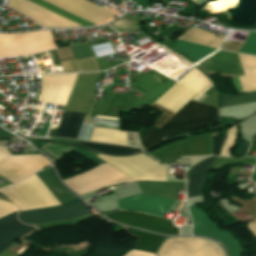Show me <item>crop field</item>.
Wrapping results in <instances>:
<instances>
[{
    "label": "crop field",
    "instance_id": "obj_1",
    "mask_svg": "<svg viewBox=\"0 0 256 256\" xmlns=\"http://www.w3.org/2000/svg\"><path fill=\"white\" fill-rule=\"evenodd\" d=\"M0 191L4 193L11 201H13L20 211L60 204L35 174L15 185L2 188ZM80 201L81 200L79 198H76L63 205ZM91 213L92 212L88 209L87 205L81 202L69 206L19 213L18 219L23 223L32 224L45 221L69 219Z\"/></svg>",
    "mask_w": 256,
    "mask_h": 256
},
{
    "label": "crop field",
    "instance_id": "obj_2",
    "mask_svg": "<svg viewBox=\"0 0 256 256\" xmlns=\"http://www.w3.org/2000/svg\"><path fill=\"white\" fill-rule=\"evenodd\" d=\"M216 107L190 101L160 129L151 126L137 130L145 149L171 137L217 122Z\"/></svg>",
    "mask_w": 256,
    "mask_h": 256
},
{
    "label": "crop field",
    "instance_id": "obj_3",
    "mask_svg": "<svg viewBox=\"0 0 256 256\" xmlns=\"http://www.w3.org/2000/svg\"><path fill=\"white\" fill-rule=\"evenodd\" d=\"M41 148H43L57 159L64 155L66 152L73 149L98 165L103 163L102 160L95 157L97 154L91 151L88 152L86 150H82L77 147L53 145L47 143ZM64 182L71 189L81 195L106 186L132 182V180L105 163L89 172L64 180Z\"/></svg>",
    "mask_w": 256,
    "mask_h": 256
},
{
    "label": "crop field",
    "instance_id": "obj_4",
    "mask_svg": "<svg viewBox=\"0 0 256 256\" xmlns=\"http://www.w3.org/2000/svg\"><path fill=\"white\" fill-rule=\"evenodd\" d=\"M57 48L50 31L0 34V57L27 55Z\"/></svg>",
    "mask_w": 256,
    "mask_h": 256
},
{
    "label": "crop field",
    "instance_id": "obj_5",
    "mask_svg": "<svg viewBox=\"0 0 256 256\" xmlns=\"http://www.w3.org/2000/svg\"><path fill=\"white\" fill-rule=\"evenodd\" d=\"M97 157L109 163L135 181H166L165 167L143 155L112 157L99 154Z\"/></svg>",
    "mask_w": 256,
    "mask_h": 256
},
{
    "label": "crop field",
    "instance_id": "obj_6",
    "mask_svg": "<svg viewBox=\"0 0 256 256\" xmlns=\"http://www.w3.org/2000/svg\"><path fill=\"white\" fill-rule=\"evenodd\" d=\"M50 165L41 155L11 156L0 147V175L15 183ZM9 181V182H10Z\"/></svg>",
    "mask_w": 256,
    "mask_h": 256
},
{
    "label": "crop field",
    "instance_id": "obj_7",
    "mask_svg": "<svg viewBox=\"0 0 256 256\" xmlns=\"http://www.w3.org/2000/svg\"><path fill=\"white\" fill-rule=\"evenodd\" d=\"M211 133L187 137L147 152L163 163H176V156L210 154Z\"/></svg>",
    "mask_w": 256,
    "mask_h": 256
},
{
    "label": "crop field",
    "instance_id": "obj_8",
    "mask_svg": "<svg viewBox=\"0 0 256 256\" xmlns=\"http://www.w3.org/2000/svg\"><path fill=\"white\" fill-rule=\"evenodd\" d=\"M157 256H225L220 246L207 239L169 238Z\"/></svg>",
    "mask_w": 256,
    "mask_h": 256
},
{
    "label": "crop field",
    "instance_id": "obj_9",
    "mask_svg": "<svg viewBox=\"0 0 256 256\" xmlns=\"http://www.w3.org/2000/svg\"><path fill=\"white\" fill-rule=\"evenodd\" d=\"M78 74L40 75L39 102L65 106Z\"/></svg>",
    "mask_w": 256,
    "mask_h": 256
},
{
    "label": "crop field",
    "instance_id": "obj_10",
    "mask_svg": "<svg viewBox=\"0 0 256 256\" xmlns=\"http://www.w3.org/2000/svg\"><path fill=\"white\" fill-rule=\"evenodd\" d=\"M190 213L194 221V234L214 237L223 242L230 256H240L241 248L237 240L229 233L219 229L202 211L189 206ZM221 242V243H222Z\"/></svg>",
    "mask_w": 256,
    "mask_h": 256
},
{
    "label": "crop field",
    "instance_id": "obj_11",
    "mask_svg": "<svg viewBox=\"0 0 256 256\" xmlns=\"http://www.w3.org/2000/svg\"><path fill=\"white\" fill-rule=\"evenodd\" d=\"M105 216L115 222L132 227L142 228L160 234L178 235V231L172 222L165 219L131 212H114Z\"/></svg>",
    "mask_w": 256,
    "mask_h": 256
},
{
    "label": "crop field",
    "instance_id": "obj_12",
    "mask_svg": "<svg viewBox=\"0 0 256 256\" xmlns=\"http://www.w3.org/2000/svg\"><path fill=\"white\" fill-rule=\"evenodd\" d=\"M13 204L0 200V216L16 209ZM17 209L0 217V253L18 238L34 228L20 224L16 218Z\"/></svg>",
    "mask_w": 256,
    "mask_h": 256
},
{
    "label": "crop field",
    "instance_id": "obj_13",
    "mask_svg": "<svg viewBox=\"0 0 256 256\" xmlns=\"http://www.w3.org/2000/svg\"><path fill=\"white\" fill-rule=\"evenodd\" d=\"M8 5L23 13L27 17L33 19L34 21L40 23L44 27H81L80 25L68 19H65L27 0H11Z\"/></svg>",
    "mask_w": 256,
    "mask_h": 256
},
{
    "label": "crop field",
    "instance_id": "obj_14",
    "mask_svg": "<svg viewBox=\"0 0 256 256\" xmlns=\"http://www.w3.org/2000/svg\"><path fill=\"white\" fill-rule=\"evenodd\" d=\"M92 24L115 14L103 10L85 0H43Z\"/></svg>",
    "mask_w": 256,
    "mask_h": 256
},
{
    "label": "crop field",
    "instance_id": "obj_15",
    "mask_svg": "<svg viewBox=\"0 0 256 256\" xmlns=\"http://www.w3.org/2000/svg\"><path fill=\"white\" fill-rule=\"evenodd\" d=\"M175 202V200L142 194L120 199L117 204L119 209L138 210L163 216Z\"/></svg>",
    "mask_w": 256,
    "mask_h": 256
},
{
    "label": "crop field",
    "instance_id": "obj_16",
    "mask_svg": "<svg viewBox=\"0 0 256 256\" xmlns=\"http://www.w3.org/2000/svg\"><path fill=\"white\" fill-rule=\"evenodd\" d=\"M162 79L174 84L173 81L169 80L168 78L162 76L161 74L157 73L154 70L149 71ZM146 73L144 76L136 79L137 83L144 89L149 90L141 99H139L135 104H133L128 109H139L141 108L145 103L150 104L153 102L156 98H158L165 90H167L172 84L160 79L159 77L151 74Z\"/></svg>",
    "mask_w": 256,
    "mask_h": 256
},
{
    "label": "crop field",
    "instance_id": "obj_17",
    "mask_svg": "<svg viewBox=\"0 0 256 256\" xmlns=\"http://www.w3.org/2000/svg\"><path fill=\"white\" fill-rule=\"evenodd\" d=\"M199 64L210 71L243 75L234 53L219 50Z\"/></svg>",
    "mask_w": 256,
    "mask_h": 256
},
{
    "label": "crop field",
    "instance_id": "obj_18",
    "mask_svg": "<svg viewBox=\"0 0 256 256\" xmlns=\"http://www.w3.org/2000/svg\"><path fill=\"white\" fill-rule=\"evenodd\" d=\"M36 174L61 204L75 197L66 187L61 184L54 172L53 167H49Z\"/></svg>",
    "mask_w": 256,
    "mask_h": 256
},
{
    "label": "crop field",
    "instance_id": "obj_19",
    "mask_svg": "<svg viewBox=\"0 0 256 256\" xmlns=\"http://www.w3.org/2000/svg\"><path fill=\"white\" fill-rule=\"evenodd\" d=\"M84 114L64 111L53 137L74 139Z\"/></svg>",
    "mask_w": 256,
    "mask_h": 256
},
{
    "label": "crop field",
    "instance_id": "obj_20",
    "mask_svg": "<svg viewBox=\"0 0 256 256\" xmlns=\"http://www.w3.org/2000/svg\"><path fill=\"white\" fill-rule=\"evenodd\" d=\"M238 55L245 74L239 77L243 92L256 91V57Z\"/></svg>",
    "mask_w": 256,
    "mask_h": 256
},
{
    "label": "crop field",
    "instance_id": "obj_21",
    "mask_svg": "<svg viewBox=\"0 0 256 256\" xmlns=\"http://www.w3.org/2000/svg\"><path fill=\"white\" fill-rule=\"evenodd\" d=\"M178 39L216 49H218L222 41V38L215 36V34L194 27H191L185 34H183Z\"/></svg>",
    "mask_w": 256,
    "mask_h": 256
},
{
    "label": "crop field",
    "instance_id": "obj_22",
    "mask_svg": "<svg viewBox=\"0 0 256 256\" xmlns=\"http://www.w3.org/2000/svg\"><path fill=\"white\" fill-rule=\"evenodd\" d=\"M214 157H209L192 168L191 178L188 185V197L201 195L200 187L202 181L210 168Z\"/></svg>",
    "mask_w": 256,
    "mask_h": 256
},
{
    "label": "crop field",
    "instance_id": "obj_23",
    "mask_svg": "<svg viewBox=\"0 0 256 256\" xmlns=\"http://www.w3.org/2000/svg\"><path fill=\"white\" fill-rule=\"evenodd\" d=\"M125 230L133 233L138 237L133 248L137 250L155 253L165 239L164 236L153 235L136 229L127 228Z\"/></svg>",
    "mask_w": 256,
    "mask_h": 256
},
{
    "label": "crop field",
    "instance_id": "obj_24",
    "mask_svg": "<svg viewBox=\"0 0 256 256\" xmlns=\"http://www.w3.org/2000/svg\"><path fill=\"white\" fill-rule=\"evenodd\" d=\"M90 141L127 145L125 132L94 127Z\"/></svg>",
    "mask_w": 256,
    "mask_h": 256
},
{
    "label": "crop field",
    "instance_id": "obj_25",
    "mask_svg": "<svg viewBox=\"0 0 256 256\" xmlns=\"http://www.w3.org/2000/svg\"><path fill=\"white\" fill-rule=\"evenodd\" d=\"M174 49L186 54L196 62L215 50L180 40H178Z\"/></svg>",
    "mask_w": 256,
    "mask_h": 256
},
{
    "label": "crop field",
    "instance_id": "obj_26",
    "mask_svg": "<svg viewBox=\"0 0 256 256\" xmlns=\"http://www.w3.org/2000/svg\"><path fill=\"white\" fill-rule=\"evenodd\" d=\"M179 82L198 92L210 83L197 69L194 68L189 71L183 78H181ZM211 86L212 84L209 87ZM208 88H206L199 96H197L195 100L200 97ZM205 97L206 96H204L202 99H204ZM202 99H200L199 101H201Z\"/></svg>",
    "mask_w": 256,
    "mask_h": 256
},
{
    "label": "crop field",
    "instance_id": "obj_27",
    "mask_svg": "<svg viewBox=\"0 0 256 256\" xmlns=\"http://www.w3.org/2000/svg\"><path fill=\"white\" fill-rule=\"evenodd\" d=\"M80 143L87 145L93 149H96L100 152H103L105 154H116V155H127V154H134L138 153L134 148H126V147H120V146H111V145H102V144H93V143H86L81 142Z\"/></svg>",
    "mask_w": 256,
    "mask_h": 256
},
{
    "label": "crop field",
    "instance_id": "obj_28",
    "mask_svg": "<svg viewBox=\"0 0 256 256\" xmlns=\"http://www.w3.org/2000/svg\"><path fill=\"white\" fill-rule=\"evenodd\" d=\"M220 95H221V107L256 102V92L247 93V94L236 96V97H232V96L221 94V93Z\"/></svg>",
    "mask_w": 256,
    "mask_h": 256
},
{
    "label": "crop field",
    "instance_id": "obj_29",
    "mask_svg": "<svg viewBox=\"0 0 256 256\" xmlns=\"http://www.w3.org/2000/svg\"><path fill=\"white\" fill-rule=\"evenodd\" d=\"M63 71L66 70H79L75 60L60 63ZM81 70H99L95 57L78 61Z\"/></svg>",
    "mask_w": 256,
    "mask_h": 256
},
{
    "label": "crop field",
    "instance_id": "obj_30",
    "mask_svg": "<svg viewBox=\"0 0 256 256\" xmlns=\"http://www.w3.org/2000/svg\"><path fill=\"white\" fill-rule=\"evenodd\" d=\"M29 1L34 2V3H36V4L40 5V6L48 9V10H51V11H53V12H55V13L63 16V17H65V18H68V19H70V20H72V21H74V22H76V23H78V24H80L82 26H92V24H90V23H88V22H86V21H84L82 19H79V18H77V17H75V16H73V15L67 13V12H64V11H62V10H60V9L50 5V4H47V3H45V2H43L41 0H29Z\"/></svg>",
    "mask_w": 256,
    "mask_h": 256
},
{
    "label": "crop field",
    "instance_id": "obj_31",
    "mask_svg": "<svg viewBox=\"0 0 256 256\" xmlns=\"http://www.w3.org/2000/svg\"><path fill=\"white\" fill-rule=\"evenodd\" d=\"M111 28L114 30L121 32L124 30L132 31V30H138L140 27L137 25V23L126 21L119 19L111 24H109Z\"/></svg>",
    "mask_w": 256,
    "mask_h": 256
},
{
    "label": "crop field",
    "instance_id": "obj_32",
    "mask_svg": "<svg viewBox=\"0 0 256 256\" xmlns=\"http://www.w3.org/2000/svg\"><path fill=\"white\" fill-rule=\"evenodd\" d=\"M240 52L256 55V32H250Z\"/></svg>",
    "mask_w": 256,
    "mask_h": 256
},
{
    "label": "crop field",
    "instance_id": "obj_33",
    "mask_svg": "<svg viewBox=\"0 0 256 256\" xmlns=\"http://www.w3.org/2000/svg\"><path fill=\"white\" fill-rule=\"evenodd\" d=\"M71 50L76 60L92 56L88 45L72 47Z\"/></svg>",
    "mask_w": 256,
    "mask_h": 256
},
{
    "label": "crop field",
    "instance_id": "obj_34",
    "mask_svg": "<svg viewBox=\"0 0 256 256\" xmlns=\"http://www.w3.org/2000/svg\"><path fill=\"white\" fill-rule=\"evenodd\" d=\"M223 136H224V133L213 134L212 155L217 154V152L220 148V144H221Z\"/></svg>",
    "mask_w": 256,
    "mask_h": 256
},
{
    "label": "crop field",
    "instance_id": "obj_35",
    "mask_svg": "<svg viewBox=\"0 0 256 256\" xmlns=\"http://www.w3.org/2000/svg\"><path fill=\"white\" fill-rule=\"evenodd\" d=\"M93 122L111 124L112 120L91 118L83 138L87 139Z\"/></svg>",
    "mask_w": 256,
    "mask_h": 256
},
{
    "label": "crop field",
    "instance_id": "obj_36",
    "mask_svg": "<svg viewBox=\"0 0 256 256\" xmlns=\"http://www.w3.org/2000/svg\"><path fill=\"white\" fill-rule=\"evenodd\" d=\"M250 142H242L238 149L237 154L245 156ZM252 143V142H251ZM250 143V145H251ZM250 147V146H249ZM249 150V149H248Z\"/></svg>",
    "mask_w": 256,
    "mask_h": 256
},
{
    "label": "crop field",
    "instance_id": "obj_37",
    "mask_svg": "<svg viewBox=\"0 0 256 256\" xmlns=\"http://www.w3.org/2000/svg\"><path fill=\"white\" fill-rule=\"evenodd\" d=\"M96 60L99 64V67H100L101 71L110 68L109 64L106 62L104 57L97 58Z\"/></svg>",
    "mask_w": 256,
    "mask_h": 256
},
{
    "label": "crop field",
    "instance_id": "obj_38",
    "mask_svg": "<svg viewBox=\"0 0 256 256\" xmlns=\"http://www.w3.org/2000/svg\"><path fill=\"white\" fill-rule=\"evenodd\" d=\"M130 253V252H129ZM127 256H156L155 254L152 253H147V252H141V251H135L133 250L130 254Z\"/></svg>",
    "mask_w": 256,
    "mask_h": 256
},
{
    "label": "crop field",
    "instance_id": "obj_39",
    "mask_svg": "<svg viewBox=\"0 0 256 256\" xmlns=\"http://www.w3.org/2000/svg\"><path fill=\"white\" fill-rule=\"evenodd\" d=\"M248 226H249L250 231H251V232L253 233V235H255V237H256V224L248 223Z\"/></svg>",
    "mask_w": 256,
    "mask_h": 256
},
{
    "label": "crop field",
    "instance_id": "obj_40",
    "mask_svg": "<svg viewBox=\"0 0 256 256\" xmlns=\"http://www.w3.org/2000/svg\"><path fill=\"white\" fill-rule=\"evenodd\" d=\"M166 116L163 115L160 119H158L154 124L157 125L161 120H163ZM167 119H169V117H166L162 122H160L158 124V126H160L161 124H163Z\"/></svg>",
    "mask_w": 256,
    "mask_h": 256
},
{
    "label": "crop field",
    "instance_id": "obj_41",
    "mask_svg": "<svg viewBox=\"0 0 256 256\" xmlns=\"http://www.w3.org/2000/svg\"><path fill=\"white\" fill-rule=\"evenodd\" d=\"M47 125L44 124L43 128L40 130V133L38 136H41V137H44L45 136V133H46V130H47Z\"/></svg>",
    "mask_w": 256,
    "mask_h": 256
},
{
    "label": "crop field",
    "instance_id": "obj_42",
    "mask_svg": "<svg viewBox=\"0 0 256 256\" xmlns=\"http://www.w3.org/2000/svg\"><path fill=\"white\" fill-rule=\"evenodd\" d=\"M153 107H155V108H157V109H159V110H161V111H163L164 113H166V114H168V115H172L173 113H171V112H169V111H167V110H165V109H163V108H161V107H159V106H157V105H153Z\"/></svg>",
    "mask_w": 256,
    "mask_h": 256
},
{
    "label": "crop field",
    "instance_id": "obj_43",
    "mask_svg": "<svg viewBox=\"0 0 256 256\" xmlns=\"http://www.w3.org/2000/svg\"><path fill=\"white\" fill-rule=\"evenodd\" d=\"M0 135H4V136H12V134H10L9 132L3 130L2 128H0Z\"/></svg>",
    "mask_w": 256,
    "mask_h": 256
},
{
    "label": "crop field",
    "instance_id": "obj_44",
    "mask_svg": "<svg viewBox=\"0 0 256 256\" xmlns=\"http://www.w3.org/2000/svg\"><path fill=\"white\" fill-rule=\"evenodd\" d=\"M213 91H214V88H213V86H212L209 90H207V91L205 92V94L210 95ZM206 98H207V97H206ZM206 98H205V99H206Z\"/></svg>",
    "mask_w": 256,
    "mask_h": 256
},
{
    "label": "crop field",
    "instance_id": "obj_45",
    "mask_svg": "<svg viewBox=\"0 0 256 256\" xmlns=\"http://www.w3.org/2000/svg\"><path fill=\"white\" fill-rule=\"evenodd\" d=\"M255 182H256V178H255V180H254Z\"/></svg>",
    "mask_w": 256,
    "mask_h": 256
},
{
    "label": "crop field",
    "instance_id": "obj_46",
    "mask_svg": "<svg viewBox=\"0 0 256 256\" xmlns=\"http://www.w3.org/2000/svg\"><path fill=\"white\" fill-rule=\"evenodd\" d=\"M193 1H195V0H193Z\"/></svg>",
    "mask_w": 256,
    "mask_h": 256
}]
</instances>
